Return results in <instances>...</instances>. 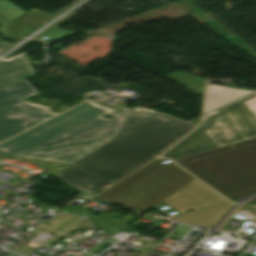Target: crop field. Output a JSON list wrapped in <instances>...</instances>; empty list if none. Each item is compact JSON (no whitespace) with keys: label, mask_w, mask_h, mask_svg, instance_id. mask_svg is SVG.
Masks as SVG:
<instances>
[{"label":"crop field","mask_w":256,"mask_h":256,"mask_svg":"<svg viewBox=\"0 0 256 256\" xmlns=\"http://www.w3.org/2000/svg\"><path fill=\"white\" fill-rule=\"evenodd\" d=\"M175 161L229 200L256 192V138Z\"/></svg>","instance_id":"obj_3"},{"label":"crop field","mask_w":256,"mask_h":256,"mask_svg":"<svg viewBox=\"0 0 256 256\" xmlns=\"http://www.w3.org/2000/svg\"><path fill=\"white\" fill-rule=\"evenodd\" d=\"M5 256H8V255H5Z\"/></svg>","instance_id":"obj_14"},{"label":"crop field","mask_w":256,"mask_h":256,"mask_svg":"<svg viewBox=\"0 0 256 256\" xmlns=\"http://www.w3.org/2000/svg\"><path fill=\"white\" fill-rule=\"evenodd\" d=\"M34 94L37 92L26 80L2 88L0 89V107L18 103Z\"/></svg>","instance_id":"obj_11"},{"label":"crop field","mask_w":256,"mask_h":256,"mask_svg":"<svg viewBox=\"0 0 256 256\" xmlns=\"http://www.w3.org/2000/svg\"><path fill=\"white\" fill-rule=\"evenodd\" d=\"M34 75L35 72L24 55L8 62H0V88Z\"/></svg>","instance_id":"obj_9"},{"label":"crop field","mask_w":256,"mask_h":256,"mask_svg":"<svg viewBox=\"0 0 256 256\" xmlns=\"http://www.w3.org/2000/svg\"><path fill=\"white\" fill-rule=\"evenodd\" d=\"M130 112L124 107L113 110L89 101L1 143L0 156L117 135ZM105 113L116 118L100 117Z\"/></svg>","instance_id":"obj_2"},{"label":"crop field","mask_w":256,"mask_h":256,"mask_svg":"<svg viewBox=\"0 0 256 256\" xmlns=\"http://www.w3.org/2000/svg\"><path fill=\"white\" fill-rule=\"evenodd\" d=\"M75 34H78V33L55 28V29L37 37L36 39L43 40V38H41L42 36H45V37L50 36V37H54V38L65 39L66 36H71V35H75Z\"/></svg>","instance_id":"obj_12"},{"label":"crop field","mask_w":256,"mask_h":256,"mask_svg":"<svg viewBox=\"0 0 256 256\" xmlns=\"http://www.w3.org/2000/svg\"><path fill=\"white\" fill-rule=\"evenodd\" d=\"M114 137L64 145L59 147L15 154L14 157L44 160L71 165L94 149L110 141Z\"/></svg>","instance_id":"obj_8"},{"label":"crop field","mask_w":256,"mask_h":256,"mask_svg":"<svg viewBox=\"0 0 256 256\" xmlns=\"http://www.w3.org/2000/svg\"><path fill=\"white\" fill-rule=\"evenodd\" d=\"M51 14L38 9L23 11L8 0L0 1V33L14 38L23 35L39 25Z\"/></svg>","instance_id":"obj_7"},{"label":"crop field","mask_w":256,"mask_h":256,"mask_svg":"<svg viewBox=\"0 0 256 256\" xmlns=\"http://www.w3.org/2000/svg\"><path fill=\"white\" fill-rule=\"evenodd\" d=\"M49 109L25 101L0 108V141L56 114Z\"/></svg>","instance_id":"obj_6"},{"label":"crop field","mask_w":256,"mask_h":256,"mask_svg":"<svg viewBox=\"0 0 256 256\" xmlns=\"http://www.w3.org/2000/svg\"><path fill=\"white\" fill-rule=\"evenodd\" d=\"M248 93L250 91L207 85L204 114Z\"/></svg>","instance_id":"obj_10"},{"label":"crop field","mask_w":256,"mask_h":256,"mask_svg":"<svg viewBox=\"0 0 256 256\" xmlns=\"http://www.w3.org/2000/svg\"><path fill=\"white\" fill-rule=\"evenodd\" d=\"M197 124L134 106L118 136L55 175L93 195L153 159Z\"/></svg>","instance_id":"obj_1"},{"label":"crop field","mask_w":256,"mask_h":256,"mask_svg":"<svg viewBox=\"0 0 256 256\" xmlns=\"http://www.w3.org/2000/svg\"><path fill=\"white\" fill-rule=\"evenodd\" d=\"M8 46H10V44L0 40V52L6 49Z\"/></svg>","instance_id":"obj_13"},{"label":"crop field","mask_w":256,"mask_h":256,"mask_svg":"<svg viewBox=\"0 0 256 256\" xmlns=\"http://www.w3.org/2000/svg\"><path fill=\"white\" fill-rule=\"evenodd\" d=\"M163 161L167 160L152 161L98 197L143 213L196 180Z\"/></svg>","instance_id":"obj_5"},{"label":"crop field","mask_w":256,"mask_h":256,"mask_svg":"<svg viewBox=\"0 0 256 256\" xmlns=\"http://www.w3.org/2000/svg\"><path fill=\"white\" fill-rule=\"evenodd\" d=\"M256 137V93L204 116L202 125L160 157L177 159Z\"/></svg>","instance_id":"obj_4"}]
</instances>
